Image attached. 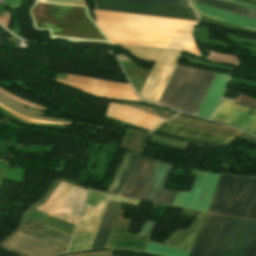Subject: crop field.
<instances>
[{"instance_id": "obj_1", "label": "crop field", "mask_w": 256, "mask_h": 256, "mask_svg": "<svg viewBox=\"0 0 256 256\" xmlns=\"http://www.w3.org/2000/svg\"><path fill=\"white\" fill-rule=\"evenodd\" d=\"M195 23L97 10V24L112 42L180 49L199 55L190 35Z\"/></svg>"}, {"instance_id": "obj_2", "label": "crop field", "mask_w": 256, "mask_h": 256, "mask_svg": "<svg viewBox=\"0 0 256 256\" xmlns=\"http://www.w3.org/2000/svg\"><path fill=\"white\" fill-rule=\"evenodd\" d=\"M215 73L177 66L159 105L195 115ZM230 75L216 73L196 115L211 118ZM158 104V103H157Z\"/></svg>"}, {"instance_id": "obj_3", "label": "crop field", "mask_w": 256, "mask_h": 256, "mask_svg": "<svg viewBox=\"0 0 256 256\" xmlns=\"http://www.w3.org/2000/svg\"><path fill=\"white\" fill-rule=\"evenodd\" d=\"M30 14L35 30H49L51 39L110 44L88 16L86 7L36 3Z\"/></svg>"}, {"instance_id": "obj_4", "label": "crop field", "mask_w": 256, "mask_h": 256, "mask_svg": "<svg viewBox=\"0 0 256 256\" xmlns=\"http://www.w3.org/2000/svg\"><path fill=\"white\" fill-rule=\"evenodd\" d=\"M97 9L198 21L192 8L126 0H96Z\"/></svg>"}, {"instance_id": "obj_5", "label": "crop field", "mask_w": 256, "mask_h": 256, "mask_svg": "<svg viewBox=\"0 0 256 256\" xmlns=\"http://www.w3.org/2000/svg\"><path fill=\"white\" fill-rule=\"evenodd\" d=\"M151 135L187 145L191 143L195 145L228 146L235 139L234 137L204 132L170 122L159 125Z\"/></svg>"}, {"instance_id": "obj_6", "label": "crop field", "mask_w": 256, "mask_h": 256, "mask_svg": "<svg viewBox=\"0 0 256 256\" xmlns=\"http://www.w3.org/2000/svg\"><path fill=\"white\" fill-rule=\"evenodd\" d=\"M249 180L221 175L208 211L236 216Z\"/></svg>"}, {"instance_id": "obj_7", "label": "crop field", "mask_w": 256, "mask_h": 256, "mask_svg": "<svg viewBox=\"0 0 256 256\" xmlns=\"http://www.w3.org/2000/svg\"><path fill=\"white\" fill-rule=\"evenodd\" d=\"M219 176L198 171L190 192H178L172 205L207 211Z\"/></svg>"}, {"instance_id": "obj_8", "label": "crop field", "mask_w": 256, "mask_h": 256, "mask_svg": "<svg viewBox=\"0 0 256 256\" xmlns=\"http://www.w3.org/2000/svg\"><path fill=\"white\" fill-rule=\"evenodd\" d=\"M232 219L209 214L190 256H216Z\"/></svg>"}, {"instance_id": "obj_9", "label": "crop field", "mask_w": 256, "mask_h": 256, "mask_svg": "<svg viewBox=\"0 0 256 256\" xmlns=\"http://www.w3.org/2000/svg\"><path fill=\"white\" fill-rule=\"evenodd\" d=\"M256 231V221L234 218L217 256H244Z\"/></svg>"}, {"instance_id": "obj_10", "label": "crop field", "mask_w": 256, "mask_h": 256, "mask_svg": "<svg viewBox=\"0 0 256 256\" xmlns=\"http://www.w3.org/2000/svg\"><path fill=\"white\" fill-rule=\"evenodd\" d=\"M19 256H59L65 250L15 230L1 245Z\"/></svg>"}, {"instance_id": "obj_11", "label": "crop field", "mask_w": 256, "mask_h": 256, "mask_svg": "<svg viewBox=\"0 0 256 256\" xmlns=\"http://www.w3.org/2000/svg\"><path fill=\"white\" fill-rule=\"evenodd\" d=\"M172 168L158 161L139 199L170 205L176 192L164 187Z\"/></svg>"}, {"instance_id": "obj_12", "label": "crop field", "mask_w": 256, "mask_h": 256, "mask_svg": "<svg viewBox=\"0 0 256 256\" xmlns=\"http://www.w3.org/2000/svg\"><path fill=\"white\" fill-rule=\"evenodd\" d=\"M213 120L229 124L256 135V111L221 101Z\"/></svg>"}, {"instance_id": "obj_13", "label": "crop field", "mask_w": 256, "mask_h": 256, "mask_svg": "<svg viewBox=\"0 0 256 256\" xmlns=\"http://www.w3.org/2000/svg\"><path fill=\"white\" fill-rule=\"evenodd\" d=\"M122 213V210L118 213L106 248L144 251L150 236L126 234L130 220L120 218Z\"/></svg>"}, {"instance_id": "obj_14", "label": "crop field", "mask_w": 256, "mask_h": 256, "mask_svg": "<svg viewBox=\"0 0 256 256\" xmlns=\"http://www.w3.org/2000/svg\"><path fill=\"white\" fill-rule=\"evenodd\" d=\"M17 230L56 245L65 250L67 249L71 237L68 234L50 228L26 217H23L22 223L17 228Z\"/></svg>"}, {"instance_id": "obj_15", "label": "crop field", "mask_w": 256, "mask_h": 256, "mask_svg": "<svg viewBox=\"0 0 256 256\" xmlns=\"http://www.w3.org/2000/svg\"><path fill=\"white\" fill-rule=\"evenodd\" d=\"M156 162L140 157L121 195L138 199Z\"/></svg>"}, {"instance_id": "obj_16", "label": "crop field", "mask_w": 256, "mask_h": 256, "mask_svg": "<svg viewBox=\"0 0 256 256\" xmlns=\"http://www.w3.org/2000/svg\"><path fill=\"white\" fill-rule=\"evenodd\" d=\"M118 202L108 201L90 250L104 249L118 213Z\"/></svg>"}, {"instance_id": "obj_17", "label": "crop field", "mask_w": 256, "mask_h": 256, "mask_svg": "<svg viewBox=\"0 0 256 256\" xmlns=\"http://www.w3.org/2000/svg\"><path fill=\"white\" fill-rule=\"evenodd\" d=\"M194 7L199 15L242 26L245 28L256 30V21L245 17L237 16L227 12L219 11L209 7L194 4ZM196 13V14H197Z\"/></svg>"}, {"instance_id": "obj_18", "label": "crop field", "mask_w": 256, "mask_h": 256, "mask_svg": "<svg viewBox=\"0 0 256 256\" xmlns=\"http://www.w3.org/2000/svg\"><path fill=\"white\" fill-rule=\"evenodd\" d=\"M170 121L195 127V128H199L202 130L230 135L234 137H238L241 134V131L233 129L231 127L217 126V125L201 122L195 119H189L180 115H177L176 117L172 118Z\"/></svg>"}, {"instance_id": "obj_19", "label": "crop field", "mask_w": 256, "mask_h": 256, "mask_svg": "<svg viewBox=\"0 0 256 256\" xmlns=\"http://www.w3.org/2000/svg\"><path fill=\"white\" fill-rule=\"evenodd\" d=\"M191 1L197 2V3H200V4H204V5H207V6H211V7H214V8H218V9H221V10H225V11H228V12H232V13H235V14H239V15H242V16H246V17H249V18L256 19V11L250 10V9H247V8H243V7H239V6H236V5H232V4H229V3L221 2V1H218V0H191Z\"/></svg>"}, {"instance_id": "obj_20", "label": "crop field", "mask_w": 256, "mask_h": 256, "mask_svg": "<svg viewBox=\"0 0 256 256\" xmlns=\"http://www.w3.org/2000/svg\"><path fill=\"white\" fill-rule=\"evenodd\" d=\"M255 194H256V179H251L237 216L245 217V218L248 217Z\"/></svg>"}, {"instance_id": "obj_21", "label": "crop field", "mask_w": 256, "mask_h": 256, "mask_svg": "<svg viewBox=\"0 0 256 256\" xmlns=\"http://www.w3.org/2000/svg\"><path fill=\"white\" fill-rule=\"evenodd\" d=\"M138 158H139L138 156H135V155H132V154L130 155V157H129V159H128V161H127V163H126V165H125V167L122 171V174H121V176H120V178H119V180H118V182H117V184H116L112 193L118 194V195L121 194L128 178H129V176H130V174H131V172H132V170H133V168H134V166H135V164L138 160Z\"/></svg>"}, {"instance_id": "obj_22", "label": "crop field", "mask_w": 256, "mask_h": 256, "mask_svg": "<svg viewBox=\"0 0 256 256\" xmlns=\"http://www.w3.org/2000/svg\"><path fill=\"white\" fill-rule=\"evenodd\" d=\"M147 252H152L164 256H189V252L177 250L174 248L166 247L163 245L155 244V243H149L147 249Z\"/></svg>"}, {"instance_id": "obj_23", "label": "crop field", "mask_w": 256, "mask_h": 256, "mask_svg": "<svg viewBox=\"0 0 256 256\" xmlns=\"http://www.w3.org/2000/svg\"><path fill=\"white\" fill-rule=\"evenodd\" d=\"M233 103L256 109V99L243 94H240Z\"/></svg>"}, {"instance_id": "obj_24", "label": "crop field", "mask_w": 256, "mask_h": 256, "mask_svg": "<svg viewBox=\"0 0 256 256\" xmlns=\"http://www.w3.org/2000/svg\"><path fill=\"white\" fill-rule=\"evenodd\" d=\"M135 1H144V2H152V3H161V4H170V5L191 7L188 0H135Z\"/></svg>"}, {"instance_id": "obj_25", "label": "crop field", "mask_w": 256, "mask_h": 256, "mask_svg": "<svg viewBox=\"0 0 256 256\" xmlns=\"http://www.w3.org/2000/svg\"><path fill=\"white\" fill-rule=\"evenodd\" d=\"M157 223L146 220L140 234H153Z\"/></svg>"}, {"instance_id": "obj_26", "label": "crop field", "mask_w": 256, "mask_h": 256, "mask_svg": "<svg viewBox=\"0 0 256 256\" xmlns=\"http://www.w3.org/2000/svg\"><path fill=\"white\" fill-rule=\"evenodd\" d=\"M129 155L130 154H128V153L126 154V156H125V158H124V160H123V162H122V164H121V166H120V168H119V170H118V172H117V174H116V176H115V178H114V180H113V182H112V184H111V186H110V188L108 190L109 193L112 192V190H113V188H114V186H115V184H116V182H117V180H118V178L120 176V173H121V171H122V169H123V167H124L128 157H129Z\"/></svg>"}, {"instance_id": "obj_27", "label": "crop field", "mask_w": 256, "mask_h": 256, "mask_svg": "<svg viewBox=\"0 0 256 256\" xmlns=\"http://www.w3.org/2000/svg\"><path fill=\"white\" fill-rule=\"evenodd\" d=\"M245 256H256V233Z\"/></svg>"}, {"instance_id": "obj_28", "label": "crop field", "mask_w": 256, "mask_h": 256, "mask_svg": "<svg viewBox=\"0 0 256 256\" xmlns=\"http://www.w3.org/2000/svg\"><path fill=\"white\" fill-rule=\"evenodd\" d=\"M221 1L229 2V3H232V4H236V5H240V6H243V7H247V8H251V9L256 10L255 5L244 3V2H241V1H237V0H221Z\"/></svg>"}, {"instance_id": "obj_29", "label": "crop field", "mask_w": 256, "mask_h": 256, "mask_svg": "<svg viewBox=\"0 0 256 256\" xmlns=\"http://www.w3.org/2000/svg\"><path fill=\"white\" fill-rule=\"evenodd\" d=\"M248 218L256 219V197Z\"/></svg>"}, {"instance_id": "obj_30", "label": "crop field", "mask_w": 256, "mask_h": 256, "mask_svg": "<svg viewBox=\"0 0 256 256\" xmlns=\"http://www.w3.org/2000/svg\"><path fill=\"white\" fill-rule=\"evenodd\" d=\"M4 34V31L0 28V36Z\"/></svg>"}]
</instances>
